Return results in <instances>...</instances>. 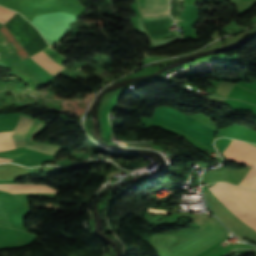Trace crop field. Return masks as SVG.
Returning a JSON list of instances; mask_svg holds the SVG:
<instances>
[{
	"label": "crop field",
	"mask_w": 256,
	"mask_h": 256,
	"mask_svg": "<svg viewBox=\"0 0 256 256\" xmlns=\"http://www.w3.org/2000/svg\"><path fill=\"white\" fill-rule=\"evenodd\" d=\"M234 215L256 230V192L218 182L207 187Z\"/></svg>",
	"instance_id": "obj_1"
},
{
	"label": "crop field",
	"mask_w": 256,
	"mask_h": 256,
	"mask_svg": "<svg viewBox=\"0 0 256 256\" xmlns=\"http://www.w3.org/2000/svg\"><path fill=\"white\" fill-rule=\"evenodd\" d=\"M151 122L165 124L169 127L180 130L195 138L196 140L204 143L216 152L212 146V137L215 131L203 126L189 116L180 113L173 108H157L153 114Z\"/></svg>",
	"instance_id": "obj_2"
},
{
	"label": "crop field",
	"mask_w": 256,
	"mask_h": 256,
	"mask_svg": "<svg viewBox=\"0 0 256 256\" xmlns=\"http://www.w3.org/2000/svg\"><path fill=\"white\" fill-rule=\"evenodd\" d=\"M16 12L0 7V22L5 23L8 21ZM0 33L6 38V40L13 46V48L19 53L23 63H25L34 72L40 75L44 80L61 70L63 67L56 64L49 56L43 51L31 56L37 64L17 42V40L11 35V33L3 25L0 29Z\"/></svg>",
	"instance_id": "obj_3"
},
{
	"label": "crop field",
	"mask_w": 256,
	"mask_h": 256,
	"mask_svg": "<svg viewBox=\"0 0 256 256\" xmlns=\"http://www.w3.org/2000/svg\"><path fill=\"white\" fill-rule=\"evenodd\" d=\"M47 125L32 117L19 114V120L11 134L13 147L32 142L34 135L45 129ZM11 132H0V150L13 148L10 142Z\"/></svg>",
	"instance_id": "obj_4"
},
{
	"label": "crop field",
	"mask_w": 256,
	"mask_h": 256,
	"mask_svg": "<svg viewBox=\"0 0 256 256\" xmlns=\"http://www.w3.org/2000/svg\"><path fill=\"white\" fill-rule=\"evenodd\" d=\"M141 17L168 15L169 0H136Z\"/></svg>",
	"instance_id": "obj_5"
},
{
	"label": "crop field",
	"mask_w": 256,
	"mask_h": 256,
	"mask_svg": "<svg viewBox=\"0 0 256 256\" xmlns=\"http://www.w3.org/2000/svg\"><path fill=\"white\" fill-rule=\"evenodd\" d=\"M0 189L11 193L47 192L58 193V191L40 184H0Z\"/></svg>",
	"instance_id": "obj_6"
},
{
	"label": "crop field",
	"mask_w": 256,
	"mask_h": 256,
	"mask_svg": "<svg viewBox=\"0 0 256 256\" xmlns=\"http://www.w3.org/2000/svg\"><path fill=\"white\" fill-rule=\"evenodd\" d=\"M23 147L32 149V150H36V151H40V152H44V153H48V154H54V155H57L62 149L65 148V147H60V146L41 144V143H37V142H34L29 145H25Z\"/></svg>",
	"instance_id": "obj_7"
},
{
	"label": "crop field",
	"mask_w": 256,
	"mask_h": 256,
	"mask_svg": "<svg viewBox=\"0 0 256 256\" xmlns=\"http://www.w3.org/2000/svg\"><path fill=\"white\" fill-rule=\"evenodd\" d=\"M255 180H256V163L250 169V171L246 174V176L243 178V180L240 182L239 185L250 188Z\"/></svg>",
	"instance_id": "obj_8"
},
{
	"label": "crop field",
	"mask_w": 256,
	"mask_h": 256,
	"mask_svg": "<svg viewBox=\"0 0 256 256\" xmlns=\"http://www.w3.org/2000/svg\"><path fill=\"white\" fill-rule=\"evenodd\" d=\"M10 230H11V229H9V228H5V227H1V226H0V235L3 234V233L8 232V231H10Z\"/></svg>",
	"instance_id": "obj_9"
},
{
	"label": "crop field",
	"mask_w": 256,
	"mask_h": 256,
	"mask_svg": "<svg viewBox=\"0 0 256 256\" xmlns=\"http://www.w3.org/2000/svg\"><path fill=\"white\" fill-rule=\"evenodd\" d=\"M4 161H12V159H8V158H0V162H4Z\"/></svg>",
	"instance_id": "obj_10"
}]
</instances>
